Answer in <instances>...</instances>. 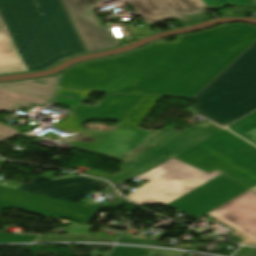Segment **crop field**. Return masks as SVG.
Listing matches in <instances>:
<instances>
[{
  "instance_id": "obj_1",
  "label": "crop field",
  "mask_w": 256,
  "mask_h": 256,
  "mask_svg": "<svg viewBox=\"0 0 256 256\" xmlns=\"http://www.w3.org/2000/svg\"><path fill=\"white\" fill-rule=\"evenodd\" d=\"M80 64L58 88L193 98L256 41V26L228 24Z\"/></svg>"
},
{
  "instance_id": "obj_2",
  "label": "crop field",
  "mask_w": 256,
  "mask_h": 256,
  "mask_svg": "<svg viewBox=\"0 0 256 256\" xmlns=\"http://www.w3.org/2000/svg\"><path fill=\"white\" fill-rule=\"evenodd\" d=\"M86 53L61 0H0V74Z\"/></svg>"
},
{
  "instance_id": "obj_3",
  "label": "crop field",
  "mask_w": 256,
  "mask_h": 256,
  "mask_svg": "<svg viewBox=\"0 0 256 256\" xmlns=\"http://www.w3.org/2000/svg\"><path fill=\"white\" fill-rule=\"evenodd\" d=\"M153 138L155 146L138 152L121 174L106 179L116 184L175 157L207 172L218 169L250 189L256 186V147L227 130L208 123L182 133L164 128Z\"/></svg>"
},
{
  "instance_id": "obj_4",
  "label": "crop field",
  "mask_w": 256,
  "mask_h": 256,
  "mask_svg": "<svg viewBox=\"0 0 256 256\" xmlns=\"http://www.w3.org/2000/svg\"><path fill=\"white\" fill-rule=\"evenodd\" d=\"M193 99L223 127L256 109V42Z\"/></svg>"
},
{
  "instance_id": "obj_5",
  "label": "crop field",
  "mask_w": 256,
  "mask_h": 256,
  "mask_svg": "<svg viewBox=\"0 0 256 256\" xmlns=\"http://www.w3.org/2000/svg\"><path fill=\"white\" fill-rule=\"evenodd\" d=\"M222 174L199 171L174 159L136 178L150 180L127 198L142 206L147 204H168L183 194Z\"/></svg>"
},
{
  "instance_id": "obj_6",
  "label": "crop field",
  "mask_w": 256,
  "mask_h": 256,
  "mask_svg": "<svg viewBox=\"0 0 256 256\" xmlns=\"http://www.w3.org/2000/svg\"><path fill=\"white\" fill-rule=\"evenodd\" d=\"M17 208L57 219L64 218L89 224L96 210L88 207L0 186V211ZM38 236H19L0 232V243L32 242Z\"/></svg>"
},
{
  "instance_id": "obj_7",
  "label": "crop field",
  "mask_w": 256,
  "mask_h": 256,
  "mask_svg": "<svg viewBox=\"0 0 256 256\" xmlns=\"http://www.w3.org/2000/svg\"><path fill=\"white\" fill-rule=\"evenodd\" d=\"M58 76L14 83H0V111H14L20 107L28 109L35 104L44 105L53 97ZM18 133L14 128L0 123V142Z\"/></svg>"
},
{
  "instance_id": "obj_8",
  "label": "crop field",
  "mask_w": 256,
  "mask_h": 256,
  "mask_svg": "<svg viewBox=\"0 0 256 256\" xmlns=\"http://www.w3.org/2000/svg\"><path fill=\"white\" fill-rule=\"evenodd\" d=\"M247 190L222 174L167 206L199 218Z\"/></svg>"
},
{
  "instance_id": "obj_9",
  "label": "crop field",
  "mask_w": 256,
  "mask_h": 256,
  "mask_svg": "<svg viewBox=\"0 0 256 256\" xmlns=\"http://www.w3.org/2000/svg\"><path fill=\"white\" fill-rule=\"evenodd\" d=\"M101 1L62 0L87 53L121 45L111 28L102 27L93 13L96 3Z\"/></svg>"
},
{
  "instance_id": "obj_10",
  "label": "crop field",
  "mask_w": 256,
  "mask_h": 256,
  "mask_svg": "<svg viewBox=\"0 0 256 256\" xmlns=\"http://www.w3.org/2000/svg\"><path fill=\"white\" fill-rule=\"evenodd\" d=\"M232 228V235L243 239L239 243L256 246V194L247 191L206 214Z\"/></svg>"
},
{
  "instance_id": "obj_11",
  "label": "crop field",
  "mask_w": 256,
  "mask_h": 256,
  "mask_svg": "<svg viewBox=\"0 0 256 256\" xmlns=\"http://www.w3.org/2000/svg\"><path fill=\"white\" fill-rule=\"evenodd\" d=\"M148 22L199 12L204 7L234 5L248 7L249 0H130Z\"/></svg>"
},
{
  "instance_id": "obj_12",
  "label": "crop field",
  "mask_w": 256,
  "mask_h": 256,
  "mask_svg": "<svg viewBox=\"0 0 256 256\" xmlns=\"http://www.w3.org/2000/svg\"><path fill=\"white\" fill-rule=\"evenodd\" d=\"M108 185L104 181L85 177L55 181L40 176L33 183L22 185L19 189L78 203L91 190L98 191Z\"/></svg>"
},
{
  "instance_id": "obj_13",
  "label": "crop field",
  "mask_w": 256,
  "mask_h": 256,
  "mask_svg": "<svg viewBox=\"0 0 256 256\" xmlns=\"http://www.w3.org/2000/svg\"><path fill=\"white\" fill-rule=\"evenodd\" d=\"M228 129L256 145V112L228 127Z\"/></svg>"
},
{
  "instance_id": "obj_14",
  "label": "crop field",
  "mask_w": 256,
  "mask_h": 256,
  "mask_svg": "<svg viewBox=\"0 0 256 256\" xmlns=\"http://www.w3.org/2000/svg\"><path fill=\"white\" fill-rule=\"evenodd\" d=\"M116 237L109 236H91V235H64V236H56L45 234L40 237L38 242L45 241H92V242H114Z\"/></svg>"
},
{
  "instance_id": "obj_15",
  "label": "crop field",
  "mask_w": 256,
  "mask_h": 256,
  "mask_svg": "<svg viewBox=\"0 0 256 256\" xmlns=\"http://www.w3.org/2000/svg\"><path fill=\"white\" fill-rule=\"evenodd\" d=\"M150 249L116 246L110 256H145Z\"/></svg>"
},
{
  "instance_id": "obj_16",
  "label": "crop field",
  "mask_w": 256,
  "mask_h": 256,
  "mask_svg": "<svg viewBox=\"0 0 256 256\" xmlns=\"http://www.w3.org/2000/svg\"><path fill=\"white\" fill-rule=\"evenodd\" d=\"M158 240H146V239H128L119 238L118 242L130 243V244H144V245H155Z\"/></svg>"
},
{
  "instance_id": "obj_17",
  "label": "crop field",
  "mask_w": 256,
  "mask_h": 256,
  "mask_svg": "<svg viewBox=\"0 0 256 256\" xmlns=\"http://www.w3.org/2000/svg\"><path fill=\"white\" fill-rule=\"evenodd\" d=\"M254 248L241 247L237 254L248 256Z\"/></svg>"
},
{
  "instance_id": "obj_18",
  "label": "crop field",
  "mask_w": 256,
  "mask_h": 256,
  "mask_svg": "<svg viewBox=\"0 0 256 256\" xmlns=\"http://www.w3.org/2000/svg\"><path fill=\"white\" fill-rule=\"evenodd\" d=\"M251 190H253V191H255V192H256V187H255V188H253V189H251Z\"/></svg>"
}]
</instances>
